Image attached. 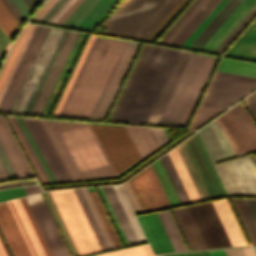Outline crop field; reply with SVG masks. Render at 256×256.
Wrapping results in <instances>:
<instances>
[{
    "label": "crop field",
    "mask_w": 256,
    "mask_h": 256,
    "mask_svg": "<svg viewBox=\"0 0 256 256\" xmlns=\"http://www.w3.org/2000/svg\"><path fill=\"white\" fill-rule=\"evenodd\" d=\"M189 210L208 248L232 246L211 202Z\"/></svg>",
    "instance_id": "obj_12"
},
{
    "label": "crop field",
    "mask_w": 256,
    "mask_h": 256,
    "mask_svg": "<svg viewBox=\"0 0 256 256\" xmlns=\"http://www.w3.org/2000/svg\"><path fill=\"white\" fill-rule=\"evenodd\" d=\"M78 34L77 32H69L29 115H40Z\"/></svg>",
    "instance_id": "obj_17"
},
{
    "label": "crop field",
    "mask_w": 256,
    "mask_h": 256,
    "mask_svg": "<svg viewBox=\"0 0 256 256\" xmlns=\"http://www.w3.org/2000/svg\"><path fill=\"white\" fill-rule=\"evenodd\" d=\"M149 130L157 142L159 148L169 142L163 129L149 128Z\"/></svg>",
    "instance_id": "obj_49"
},
{
    "label": "crop field",
    "mask_w": 256,
    "mask_h": 256,
    "mask_svg": "<svg viewBox=\"0 0 256 256\" xmlns=\"http://www.w3.org/2000/svg\"><path fill=\"white\" fill-rule=\"evenodd\" d=\"M36 25L27 24L13 44L0 71V99Z\"/></svg>",
    "instance_id": "obj_21"
},
{
    "label": "crop field",
    "mask_w": 256,
    "mask_h": 256,
    "mask_svg": "<svg viewBox=\"0 0 256 256\" xmlns=\"http://www.w3.org/2000/svg\"><path fill=\"white\" fill-rule=\"evenodd\" d=\"M255 3L256 0H243L200 50L212 53Z\"/></svg>",
    "instance_id": "obj_22"
},
{
    "label": "crop field",
    "mask_w": 256,
    "mask_h": 256,
    "mask_svg": "<svg viewBox=\"0 0 256 256\" xmlns=\"http://www.w3.org/2000/svg\"><path fill=\"white\" fill-rule=\"evenodd\" d=\"M11 2L16 6V8L21 12V14L28 19L30 18L28 15L31 13L29 9L24 5L21 0H11Z\"/></svg>",
    "instance_id": "obj_56"
},
{
    "label": "crop field",
    "mask_w": 256,
    "mask_h": 256,
    "mask_svg": "<svg viewBox=\"0 0 256 256\" xmlns=\"http://www.w3.org/2000/svg\"><path fill=\"white\" fill-rule=\"evenodd\" d=\"M241 1L242 0H230L188 48L199 50Z\"/></svg>",
    "instance_id": "obj_28"
},
{
    "label": "crop field",
    "mask_w": 256,
    "mask_h": 256,
    "mask_svg": "<svg viewBox=\"0 0 256 256\" xmlns=\"http://www.w3.org/2000/svg\"><path fill=\"white\" fill-rule=\"evenodd\" d=\"M41 122L73 180L117 176L89 124Z\"/></svg>",
    "instance_id": "obj_2"
},
{
    "label": "crop field",
    "mask_w": 256,
    "mask_h": 256,
    "mask_svg": "<svg viewBox=\"0 0 256 256\" xmlns=\"http://www.w3.org/2000/svg\"><path fill=\"white\" fill-rule=\"evenodd\" d=\"M188 1L189 0H180L176 4V6L169 12V14L162 20V22L155 28V30L148 36L146 41L153 42Z\"/></svg>",
    "instance_id": "obj_41"
},
{
    "label": "crop field",
    "mask_w": 256,
    "mask_h": 256,
    "mask_svg": "<svg viewBox=\"0 0 256 256\" xmlns=\"http://www.w3.org/2000/svg\"><path fill=\"white\" fill-rule=\"evenodd\" d=\"M117 1L118 0H100L76 28L92 31Z\"/></svg>",
    "instance_id": "obj_29"
},
{
    "label": "crop field",
    "mask_w": 256,
    "mask_h": 256,
    "mask_svg": "<svg viewBox=\"0 0 256 256\" xmlns=\"http://www.w3.org/2000/svg\"><path fill=\"white\" fill-rule=\"evenodd\" d=\"M189 54V52H180L146 124L156 125Z\"/></svg>",
    "instance_id": "obj_23"
},
{
    "label": "crop field",
    "mask_w": 256,
    "mask_h": 256,
    "mask_svg": "<svg viewBox=\"0 0 256 256\" xmlns=\"http://www.w3.org/2000/svg\"><path fill=\"white\" fill-rule=\"evenodd\" d=\"M179 52L144 44L106 121L145 124Z\"/></svg>",
    "instance_id": "obj_1"
},
{
    "label": "crop field",
    "mask_w": 256,
    "mask_h": 256,
    "mask_svg": "<svg viewBox=\"0 0 256 256\" xmlns=\"http://www.w3.org/2000/svg\"><path fill=\"white\" fill-rule=\"evenodd\" d=\"M168 256H186L185 254H180V255H168Z\"/></svg>",
    "instance_id": "obj_66"
},
{
    "label": "crop field",
    "mask_w": 256,
    "mask_h": 256,
    "mask_svg": "<svg viewBox=\"0 0 256 256\" xmlns=\"http://www.w3.org/2000/svg\"><path fill=\"white\" fill-rule=\"evenodd\" d=\"M20 200H21V202H22V204H23V206H24V208H25V210H26V212L28 214V217H29V219H30V221H31L35 231H36V234H37V236H38V238H39V240H40V242H41V244L43 246V249H44L46 255L47 256H53L51 251H50V249H49V247H48V245H47V243H46V241H45V239H44V237H43V235H42V233H41V231H40V228H39V226H38V224H37V222H36L32 212H31V210H30V208H29V206H28V204H27V202L25 200V198L23 197Z\"/></svg>",
    "instance_id": "obj_46"
},
{
    "label": "crop field",
    "mask_w": 256,
    "mask_h": 256,
    "mask_svg": "<svg viewBox=\"0 0 256 256\" xmlns=\"http://www.w3.org/2000/svg\"><path fill=\"white\" fill-rule=\"evenodd\" d=\"M97 256H153L148 245L111 252Z\"/></svg>",
    "instance_id": "obj_44"
},
{
    "label": "crop field",
    "mask_w": 256,
    "mask_h": 256,
    "mask_svg": "<svg viewBox=\"0 0 256 256\" xmlns=\"http://www.w3.org/2000/svg\"><path fill=\"white\" fill-rule=\"evenodd\" d=\"M91 126L117 174L140 159L124 127Z\"/></svg>",
    "instance_id": "obj_8"
},
{
    "label": "crop field",
    "mask_w": 256,
    "mask_h": 256,
    "mask_svg": "<svg viewBox=\"0 0 256 256\" xmlns=\"http://www.w3.org/2000/svg\"><path fill=\"white\" fill-rule=\"evenodd\" d=\"M1 180V179H0Z\"/></svg>",
    "instance_id": "obj_67"
},
{
    "label": "crop field",
    "mask_w": 256,
    "mask_h": 256,
    "mask_svg": "<svg viewBox=\"0 0 256 256\" xmlns=\"http://www.w3.org/2000/svg\"><path fill=\"white\" fill-rule=\"evenodd\" d=\"M184 144L190 154V157L197 169V172L209 197L213 198L225 195L196 135H193L184 141Z\"/></svg>",
    "instance_id": "obj_15"
},
{
    "label": "crop field",
    "mask_w": 256,
    "mask_h": 256,
    "mask_svg": "<svg viewBox=\"0 0 256 256\" xmlns=\"http://www.w3.org/2000/svg\"><path fill=\"white\" fill-rule=\"evenodd\" d=\"M137 219L154 253L174 251L156 213Z\"/></svg>",
    "instance_id": "obj_20"
},
{
    "label": "crop field",
    "mask_w": 256,
    "mask_h": 256,
    "mask_svg": "<svg viewBox=\"0 0 256 256\" xmlns=\"http://www.w3.org/2000/svg\"><path fill=\"white\" fill-rule=\"evenodd\" d=\"M139 44L128 41L90 120L102 121Z\"/></svg>",
    "instance_id": "obj_14"
},
{
    "label": "crop field",
    "mask_w": 256,
    "mask_h": 256,
    "mask_svg": "<svg viewBox=\"0 0 256 256\" xmlns=\"http://www.w3.org/2000/svg\"><path fill=\"white\" fill-rule=\"evenodd\" d=\"M66 0H60L53 8L52 10L45 16V18L41 21L43 23H46L49 18L58 10V8L65 2Z\"/></svg>",
    "instance_id": "obj_61"
},
{
    "label": "crop field",
    "mask_w": 256,
    "mask_h": 256,
    "mask_svg": "<svg viewBox=\"0 0 256 256\" xmlns=\"http://www.w3.org/2000/svg\"><path fill=\"white\" fill-rule=\"evenodd\" d=\"M49 28L37 25L29 43L21 57V60L12 76V79L0 102V112L8 113L28 72L29 69L48 33Z\"/></svg>",
    "instance_id": "obj_10"
},
{
    "label": "crop field",
    "mask_w": 256,
    "mask_h": 256,
    "mask_svg": "<svg viewBox=\"0 0 256 256\" xmlns=\"http://www.w3.org/2000/svg\"><path fill=\"white\" fill-rule=\"evenodd\" d=\"M0 28L11 40L20 28V25L0 1Z\"/></svg>",
    "instance_id": "obj_35"
},
{
    "label": "crop field",
    "mask_w": 256,
    "mask_h": 256,
    "mask_svg": "<svg viewBox=\"0 0 256 256\" xmlns=\"http://www.w3.org/2000/svg\"><path fill=\"white\" fill-rule=\"evenodd\" d=\"M252 244H256V225L243 199L230 198Z\"/></svg>",
    "instance_id": "obj_32"
},
{
    "label": "crop field",
    "mask_w": 256,
    "mask_h": 256,
    "mask_svg": "<svg viewBox=\"0 0 256 256\" xmlns=\"http://www.w3.org/2000/svg\"><path fill=\"white\" fill-rule=\"evenodd\" d=\"M200 0H195L190 7L182 14V16L175 22V24L168 30V32L161 38V40L158 42L159 44H162L163 41L171 34V32L179 25V23L186 17V15L194 8V6L199 2Z\"/></svg>",
    "instance_id": "obj_50"
},
{
    "label": "crop field",
    "mask_w": 256,
    "mask_h": 256,
    "mask_svg": "<svg viewBox=\"0 0 256 256\" xmlns=\"http://www.w3.org/2000/svg\"><path fill=\"white\" fill-rule=\"evenodd\" d=\"M80 255L102 251L72 189L49 191Z\"/></svg>",
    "instance_id": "obj_7"
},
{
    "label": "crop field",
    "mask_w": 256,
    "mask_h": 256,
    "mask_svg": "<svg viewBox=\"0 0 256 256\" xmlns=\"http://www.w3.org/2000/svg\"><path fill=\"white\" fill-rule=\"evenodd\" d=\"M58 0H48L33 16L32 19L40 21Z\"/></svg>",
    "instance_id": "obj_51"
},
{
    "label": "crop field",
    "mask_w": 256,
    "mask_h": 256,
    "mask_svg": "<svg viewBox=\"0 0 256 256\" xmlns=\"http://www.w3.org/2000/svg\"><path fill=\"white\" fill-rule=\"evenodd\" d=\"M27 195L23 187L12 188L0 191V201L17 198Z\"/></svg>",
    "instance_id": "obj_47"
},
{
    "label": "crop field",
    "mask_w": 256,
    "mask_h": 256,
    "mask_svg": "<svg viewBox=\"0 0 256 256\" xmlns=\"http://www.w3.org/2000/svg\"><path fill=\"white\" fill-rule=\"evenodd\" d=\"M109 249L114 248L85 188H80Z\"/></svg>",
    "instance_id": "obj_45"
},
{
    "label": "crop field",
    "mask_w": 256,
    "mask_h": 256,
    "mask_svg": "<svg viewBox=\"0 0 256 256\" xmlns=\"http://www.w3.org/2000/svg\"><path fill=\"white\" fill-rule=\"evenodd\" d=\"M216 59L191 54L158 124L185 126Z\"/></svg>",
    "instance_id": "obj_5"
},
{
    "label": "crop field",
    "mask_w": 256,
    "mask_h": 256,
    "mask_svg": "<svg viewBox=\"0 0 256 256\" xmlns=\"http://www.w3.org/2000/svg\"><path fill=\"white\" fill-rule=\"evenodd\" d=\"M227 256H245L241 248L224 250Z\"/></svg>",
    "instance_id": "obj_62"
},
{
    "label": "crop field",
    "mask_w": 256,
    "mask_h": 256,
    "mask_svg": "<svg viewBox=\"0 0 256 256\" xmlns=\"http://www.w3.org/2000/svg\"><path fill=\"white\" fill-rule=\"evenodd\" d=\"M189 208V207H188ZM187 207L171 210L190 250L207 248Z\"/></svg>",
    "instance_id": "obj_24"
},
{
    "label": "crop field",
    "mask_w": 256,
    "mask_h": 256,
    "mask_svg": "<svg viewBox=\"0 0 256 256\" xmlns=\"http://www.w3.org/2000/svg\"><path fill=\"white\" fill-rule=\"evenodd\" d=\"M17 138L19 139L29 161L31 162L41 184L51 183L48 175L46 174L42 164L40 163L37 155L35 154L32 146L30 145L27 137L25 136L21 126L19 125L16 117L7 116Z\"/></svg>",
    "instance_id": "obj_26"
},
{
    "label": "crop field",
    "mask_w": 256,
    "mask_h": 256,
    "mask_svg": "<svg viewBox=\"0 0 256 256\" xmlns=\"http://www.w3.org/2000/svg\"><path fill=\"white\" fill-rule=\"evenodd\" d=\"M226 55L256 61V20Z\"/></svg>",
    "instance_id": "obj_27"
},
{
    "label": "crop field",
    "mask_w": 256,
    "mask_h": 256,
    "mask_svg": "<svg viewBox=\"0 0 256 256\" xmlns=\"http://www.w3.org/2000/svg\"><path fill=\"white\" fill-rule=\"evenodd\" d=\"M99 0H84L72 15L62 25L64 27L75 28L88 12L97 4Z\"/></svg>",
    "instance_id": "obj_36"
},
{
    "label": "crop field",
    "mask_w": 256,
    "mask_h": 256,
    "mask_svg": "<svg viewBox=\"0 0 256 256\" xmlns=\"http://www.w3.org/2000/svg\"><path fill=\"white\" fill-rule=\"evenodd\" d=\"M0 256H7L0 242Z\"/></svg>",
    "instance_id": "obj_65"
},
{
    "label": "crop field",
    "mask_w": 256,
    "mask_h": 256,
    "mask_svg": "<svg viewBox=\"0 0 256 256\" xmlns=\"http://www.w3.org/2000/svg\"><path fill=\"white\" fill-rule=\"evenodd\" d=\"M228 1L229 0H221L220 3L213 9V11L206 17V19L199 25V27L197 26L198 28L192 33V35L190 34L191 36L185 41V43H182V46L188 47Z\"/></svg>",
    "instance_id": "obj_43"
},
{
    "label": "crop field",
    "mask_w": 256,
    "mask_h": 256,
    "mask_svg": "<svg viewBox=\"0 0 256 256\" xmlns=\"http://www.w3.org/2000/svg\"><path fill=\"white\" fill-rule=\"evenodd\" d=\"M83 0H75L54 25L61 26Z\"/></svg>",
    "instance_id": "obj_53"
},
{
    "label": "crop field",
    "mask_w": 256,
    "mask_h": 256,
    "mask_svg": "<svg viewBox=\"0 0 256 256\" xmlns=\"http://www.w3.org/2000/svg\"><path fill=\"white\" fill-rule=\"evenodd\" d=\"M94 38H95V36H93V35L90 36V38H89V40H88V42H87V44H86V46H85V48L83 50V53H82V55H81L77 65L75 67V70H74V72H73V74H72V76H71V78H70V80L68 82V85H67V87H66V89H65V91H64V93H63V95H62V97L60 99V102H59V104H58V106H57V108H56V110H55V112H54L52 117H56L57 116V114H58V112H59V110H60V108H61V106H62V104H63V102H64V100H65V98H66V96H67V94H68V92H69L73 82H74V80H75V78H76V75H77V73H78V71H79V69H80V67H81V65H82V63H83V61H84V59L86 57V54H87V52H88V50H89V48H90Z\"/></svg>",
    "instance_id": "obj_40"
},
{
    "label": "crop field",
    "mask_w": 256,
    "mask_h": 256,
    "mask_svg": "<svg viewBox=\"0 0 256 256\" xmlns=\"http://www.w3.org/2000/svg\"><path fill=\"white\" fill-rule=\"evenodd\" d=\"M232 245L248 244L226 199L212 202Z\"/></svg>",
    "instance_id": "obj_25"
},
{
    "label": "crop field",
    "mask_w": 256,
    "mask_h": 256,
    "mask_svg": "<svg viewBox=\"0 0 256 256\" xmlns=\"http://www.w3.org/2000/svg\"><path fill=\"white\" fill-rule=\"evenodd\" d=\"M251 157L256 163L253 154ZM251 157L248 155L215 166L229 195L256 196V164Z\"/></svg>",
    "instance_id": "obj_9"
},
{
    "label": "crop field",
    "mask_w": 256,
    "mask_h": 256,
    "mask_svg": "<svg viewBox=\"0 0 256 256\" xmlns=\"http://www.w3.org/2000/svg\"><path fill=\"white\" fill-rule=\"evenodd\" d=\"M74 0H67L60 8L59 10L50 18V20L47 22V24L53 25L56 20L63 14V12L70 6V4Z\"/></svg>",
    "instance_id": "obj_55"
},
{
    "label": "crop field",
    "mask_w": 256,
    "mask_h": 256,
    "mask_svg": "<svg viewBox=\"0 0 256 256\" xmlns=\"http://www.w3.org/2000/svg\"><path fill=\"white\" fill-rule=\"evenodd\" d=\"M37 256H46L19 199L11 201Z\"/></svg>",
    "instance_id": "obj_31"
},
{
    "label": "crop field",
    "mask_w": 256,
    "mask_h": 256,
    "mask_svg": "<svg viewBox=\"0 0 256 256\" xmlns=\"http://www.w3.org/2000/svg\"><path fill=\"white\" fill-rule=\"evenodd\" d=\"M223 109L208 107L201 105L191 126L190 129H197L200 126H202L204 123L218 115L220 112H222Z\"/></svg>",
    "instance_id": "obj_39"
},
{
    "label": "crop field",
    "mask_w": 256,
    "mask_h": 256,
    "mask_svg": "<svg viewBox=\"0 0 256 256\" xmlns=\"http://www.w3.org/2000/svg\"><path fill=\"white\" fill-rule=\"evenodd\" d=\"M25 5L30 9L32 12L34 8L38 5V3L41 1L43 3L44 0H22Z\"/></svg>",
    "instance_id": "obj_63"
},
{
    "label": "crop field",
    "mask_w": 256,
    "mask_h": 256,
    "mask_svg": "<svg viewBox=\"0 0 256 256\" xmlns=\"http://www.w3.org/2000/svg\"><path fill=\"white\" fill-rule=\"evenodd\" d=\"M210 256H226L223 250L208 252Z\"/></svg>",
    "instance_id": "obj_64"
},
{
    "label": "crop field",
    "mask_w": 256,
    "mask_h": 256,
    "mask_svg": "<svg viewBox=\"0 0 256 256\" xmlns=\"http://www.w3.org/2000/svg\"><path fill=\"white\" fill-rule=\"evenodd\" d=\"M132 0H126L121 7L110 17V19L103 25L104 27L108 28L110 24L117 18V16L125 9V7L131 2Z\"/></svg>",
    "instance_id": "obj_59"
},
{
    "label": "crop field",
    "mask_w": 256,
    "mask_h": 256,
    "mask_svg": "<svg viewBox=\"0 0 256 256\" xmlns=\"http://www.w3.org/2000/svg\"><path fill=\"white\" fill-rule=\"evenodd\" d=\"M68 32L50 29L9 113L29 114Z\"/></svg>",
    "instance_id": "obj_6"
},
{
    "label": "crop field",
    "mask_w": 256,
    "mask_h": 256,
    "mask_svg": "<svg viewBox=\"0 0 256 256\" xmlns=\"http://www.w3.org/2000/svg\"><path fill=\"white\" fill-rule=\"evenodd\" d=\"M89 194H90V196H91V198H92V200L95 204V207H96V209H97V211H98V213H99V215L102 219V222H103V224H104V226H105V228L108 232V235H109L114 247L115 248L121 247L122 245H121V243H120V241H119V239L116 235V232H115V230H114V228H113V226H112V224L109 220V217H108V215H107V213H106V211L103 207V204H102L97 192L94 191V192H90Z\"/></svg>",
    "instance_id": "obj_34"
},
{
    "label": "crop field",
    "mask_w": 256,
    "mask_h": 256,
    "mask_svg": "<svg viewBox=\"0 0 256 256\" xmlns=\"http://www.w3.org/2000/svg\"><path fill=\"white\" fill-rule=\"evenodd\" d=\"M7 203H8V205H9V207H10V209H11V211H12L14 217H15V220H16V222H17V224H18V226H19V228H20V230H21V232H22V234H23V237H24V239H25V241H26V243H27V245H28V247H29V249H30V252H31L32 256H36L35 253H34V251H33L32 246H31V244H30V242H29V240H28V238H27V236H26V234H25V231H24V229H23V227H22V225H21V223H20V221H19V219H18V216H17V214H16V212H15V210H14L12 204H11V202L8 201Z\"/></svg>",
    "instance_id": "obj_54"
},
{
    "label": "crop field",
    "mask_w": 256,
    "mask_h": 256,
    "mask_svg": "<svg viewBox=\"0 0 256 256\" xmlns=\"http://www.w3.org/2000/svg\"><path fill=\"white\" fill-rule=\"evenodd\" d=\"M166 0H142L112 34L132 39Z\"/></svg>",
    "instance_id": "obj_16"
},
{
    "label": "crop field",
    "mask_w": 256,
    "mask_h": 256,
    "mask_svg": "<svg viewBox=\"0 0 256 256\" xmlns=\"http://www.w3.org/2000/svg\"><path fill=\"white\" fill-rule=\"evenodd\" d=\"M209 0H201L195 8L187 15V17L180 23V25L173 31V33L166 39L163 44L170 45L173 40L181 33V31L189 24V22L197 15V13L205 6Z\"/></svg>",
    "instance_id": "obj_42"
},
{
    "label": "crop field",
    "mask_w": 256,
    "mask_h": 256,
    "mask_svg": "<svg viewBox=\"0 0 256 256\" xmlns=\"http://www.w3.org/2000/svg\"><path fill=\"white\" fill-rule=\"evenodd\" d=\"M130 245L146 241L120 185L102 186Z\"/></svg>",
    "instance_id": "obj_13"
},
{
    "label": "crop field",
    "mask_w": 256,
    "mask_h": 256,
    "mask_svg": "<svg viewBox=\"0 0 256 256\" xmlns=\"http://www.w3.org/2000/svg\"><path fill=\"white\" fill-rule=\"evenodd\" d=\"M193 132H194V131L188 132L186 135H184L183 137H181L180 139H178L176 142H174L173 144H171L170 146H168L166 149H164L163 151H161V152H160L159 154H157L155 157H153L152 159H150V160L147 161L146 163L142 164L141 166H139L138 168H136L135 170H133L132 172H130L129 174H127L125 177H123V178L120 179V180L104 181V182H93V183H82V184H72V185H62V186H53V187H45V188H42V190L122 182V181H124L125 179H127L129 176H131L132 174H134L135 172H137L138 170H140L142 167H144L145 165H147L148 163H150L151 161H153L155 158H157L158 156H160L161 154H163L165 151H167L168 149H170L171 147H173L174 145H176L178 142H180L181 140H183L184 138H186L187 136H189V135H190L191 133H193Z\"/></svg>",
    "instance_id": "obj_37"
},
{
    "label": "crop field",
    "mask_w": 256,
    "mask_h": 256,
    "mask_svg": "<svg viewBox=\"0 0 256 256\" xmlns=\"http://www.w3.org/2000/svg\"><path fill=\"white\" fill-rule=\"evenodd\" d=\"M122 187H123V189H124L128 199H129V201H130V203H131L135 213H140L141 209H140V207H139V205H138V203H137V201H136V199H135V197H134V195H133V193H132L128 183L123 184Z\"/></svg>",
    "instance_id": "obj_52"
},
{
    "label": "crop field",
    "mask_w": 256,
    "mask_h": 256,
    "mask_svg": "<svg viewBox=\"0 0 256 256\" xmlns=\"http://www.w3.org/2000/svg\"><path fill=\"white\" fill-rule=\"evenodd\" d=\"M0 230L13 256H31L6 202L0 203Z\"/></svg>",
    "instance_id": "obj_18"
},
{
    "label": "crop field",
    "mask_w": 256,
    "mask_h": 256,
    "mask_svg": "<svg viewBox=\"0 0 256 256\" xmlns=\"http://www.w3.org/2000/svg\"><path fill=\"white\" fill-rule=\"evenodd\" d=\"M0 144L17 178L33 176L2 117H0Z\"/></svg>",
    "instance_id": "obj_19"
},
{
    "label": "crop field",
    "mask_w": 256,
    "mask_h": 256,
    "mask_svg": "<svg viewBox=\"0 0 256 256\" xmlns=\"http://www.w3.org/2000/svg\"><path fill=\"white\" fill-rule=\"evenodd\" d=\"M0 159H1L2 163H3V165H4V168H5L8 176H9V178L10 179L16 178L14 173H13V171H12V169H11V167H10V165H9V163H8V161H7V159H6V156H5L1 146H0Z\"/></svg>",
    "instance_id": "obj_57"
},
{
    "label": "crop field",
    "mask_w": 256,
    "mask_h": 256,
    "mask_svg": "<svg viewBox=\"0 0 256 256\" xmlns=\"http://www.w3.org/2000/svg\"><path fill=\"white\" fill-rule=\"evenodd\" d=\"M128 183L143 212L171 206L152 165Z\"/></svg>",
    "instance_id": "obj_11"
},
{
    "label": "crop field",
    "mask_w": 256,
    "mask_h": 256,
    "mask_svg": "<svg viewBox=\"0 0 256 256\" xmlns=\"http://www.w3.org/2000/svg\"><path fill=\"white\" fill-rule=\"evenodd\" d=\"M168 154H169V156H170V158L180 176V179H181L191 201L194 202V201L201 200L189 175H188V172H187L176 148L169 151Z\"/></svg>",
    "instance_id": "obj_30"
},
{
    "label": "crop field",
    "mask_w": 256,
    "mask_h": 256,
    "mask_svg": "<svg viewBox=\"0 0 256 256\" xmlns=\"http://www.w3.org/2000/svg\"><path fill=\"white\" fill-rule=\"evenodd\" d=\"M2 2L7 6V8L11 11V13L15 16V18L21 22L23 21L22 15L18 12V10L13 6V4L9 0H2Z\"/></svg>",
    "instance_id": "obj_58"
},
{
    "label": "crop field",
    "mask_w": 256,
    "mask_h": 256,
    "mask_svg": "<svg viewBox=\"0 0 256 256\" xmlns=\"http://www.w3.org/2000/svg\"><path fill=\"white\" fill-rule=\"evenodd\" d=\"M220 118L238 155L256 150V124L241 102ZM220 118L199 130L214 162L237 155Z\"/></svg>",
    "instance_id": "obj_4"
},
{
    "label": "crop field",
    "mask_w": 256,
    "mask_h": 256,
    "mask_svg": "<svg viewBox=\"0 0 256 256\" xmlns=\"http://www.w3.org/2000/svg\"><path fill=\"white\" fill-rule=\"evenodd\" d=\"M256 223V199H244Z\"/></svg>",
    "instance_id": "obj_60"
},
{
    "label": "crop field",
    "mask_w": 256,
    "mask_h": 256,
    "mask_svg": "<svg viewBox=\"0 0 256 256\" xmlns=\"http://www.w3.org/2000/svg\"><path fill=\"white\" fill-rule=\"evenodd\" d=\"M125 43L96 37L58 116L91 117Z\"/></svg>",
    "instance_id": "obj_3"
},
{
    "label": "crop field",
    "mask_w": 256,
    "mask_h": 256,
    "mask_svg": "<svg viewBox=\"0 0 256 256\" xmlns=\"http://www.w3.org/2000/svg\"><path fill=\"white\" fill-rule=\"evenodd\" d=\"M178 1L179 0H167L157 11V13L150 19V21L143 27V29L136 35L135 39L144 40Z\"/></svg>",
    "instance_id": "obj_33"
},
{
    "label": "crop field",
    "mask_w": 256,
    "mask_h": 256,
    "mask_svg": "<svg viewBox=\"0 0 256 256\" xmlns=\"http://www.w3.org/2000/svg\"><path fill=\"white\" fill-rule=\"evenodd\" d=\"M256 15V4L246 14V16L239 22V24L231 31V33L223 40V42L216 48L213 53L221 54L224 49L232 42V40L241 32V30L249 23V21Z\"/></svg>",
    "instance_id": "obj_38"
},
{
    "label": "crop field",
    "mask_w": 256,
    "mask_h": 256,
    "mask_svg": "<svg viewBox=\"0 0 256 256\" xmlns=\"http://www.w3.org/2000/svg\"><path fill=\"white\" fill-rule=\"evenodd\" d=\"M139 1L140 0H133L118 17V19L109 27L105 34L111 35L115 28L123 21V19L130 13V11L138 4Z\"/></svg>",
    "instance_id": "obj_48"
}]
</instances>
